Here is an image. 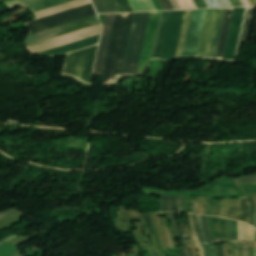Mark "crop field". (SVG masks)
<instances>
[{
    "instance_id": "obj_41",
    "label": "crop field",
    "mask_w": 256,
    "mask_h": 256,
    "mask_svg": "<svg viewBox=\"0 0 256 256\" xmlns=\"http://www.w3.org/2000/svg\"><path fill=\"white\" fill-rule=\"evenodd\" d=\"M168 199H169V197L163 196V198H162V211H169Z\"/></svg>"
},
{
    "instance_id": "obj_44",
    "label": "crop field",
    "mask_w": 256,
    "mask_h": 256,
    "mask_svg": "<svg viewBox=\"0 0 256 256\" xmlns=\"http://www.w3.org/2000/svg\"><path fill=\"white\" fill-rule=\"evenodd\" d=\"M192 217H193L195 229H196V231L198 232V235H199L200 243H201V245H204L203 242H202V237H201V233H200V230H199L197 221H196V217H195V215H193V214H192Z\"/></svg>"
},
{
    "instance_id": "obj_49",
    "label": "crop field",
    "mask_w": 256,
    "mask_h": 256,
    "mask_svg": "<svg viewBox=\"0 0 256 256\" xmlns=\"http://www.w3.org/2000/svg\"><path fill=\"white\" fill-rule=\"evenodd\" d=\"M232 7H239V6H243L241 0H229Z\"/></svg>"
},
{
    "instance_id": "obj_1",
    "label": "crop field",
    "mask_w": 256,
    "mask_h": 256,
    "mask_svg": "<svg viewBox=\"0 0 256 256\" xmlns=\"http://www.w3.org/2000/svg\"><path fill=\"white\" fill-rule=\"evenodd\" d=\"M134 13L117 14L103 85L120 79Z\"/></svg>"
},
{
    "instance_id": "obj_39",
    "label": "crop field",
    "mask_w": 256,
    "mask_h": 256,
    "mask_svg": "<svg viewBox=\"0 0 256 256\" xmlns=\"http://www.w3.org/2000/svg\"><path fill=\"white\" fill-rule=\"evenodd\" d=\"M29 1H32V0H13V1L6 2V4L13 7V6H16V5L25 3V2H29Z\"/></svg>"
},
{
    "instance_id": "obj_27",
    "label": "crop field",
    "mask_w": 256,
    "mask_h": 256,
    "mask_svg": "<svg viewBox=\"0 0 256 256\" xmlns=\"http://www.w3.org/2000/svg\"><path fill=\"white\" fill-rule=\"evenodd\" d=\"M248 199V224L252 225L254 227V221H255V201L254 197H247Z\"/></svg>"
},
{
    "instance_id": "obj_35",
    "label": "crop field",
    "mask_w": 256,
    "mask_h": 256,
    "mask_svg": "<svg viewBox=\"0 0 256 256\" xmlns=\"http://www.w3.org/2000/svg\"><path fill=\"white\" fill-rule=\"evenodd\" d=\"M180 224H181V229H182V231H183V235H184V237H185V239H186V242H187V247L184 248V249H185V252H186V255H187V256H191V254H190L189 242H188V237H187V233H186V229H185V226H184L183 221H181Z\"/></svg>"
},
{
    "instance_id": "obj_38",
    "label": "crop field",
    "mask_w": 256,
    "mask_h": 256,
    "mask_svg": "<svg viewBox=\"0 0 256 256\" xmlns=\"http://www.w3.org/2000/svg\"><path fill=\"white\" fill-rule=\"evenodd\" d=\"M197 218H198V222H199V226H200V230H201V233H202L204 244L208 245L207 239H206V236H205V233H204V229H203V226H202L201 216H197Z\"/></svg>"
},
{
    "instance_id": "obj_60",
    "label": "crop field",
    "mask_w": 256,
    "mask_h": 256,
    "mask_svg": "<svg viewBox=\"0 0 256 256\" xmlns=\"http://www.w3.org/2000/svg\"><path fill=\"white\" fill-rule=\"evenodd\" d=\"M205 256H210L209 248H204Z\"/></svg>"
},
{
    "instance_id": "obj_40",
    "label": "crop field",
    "mask_w": 256,
    "mask_h": 256,
    "mask_svg": "<svg viewBox=\"0 0 256 256\" xmlns=\"http://www.w3.org/2000/svg\"><path fill=\"white\" fill-rule=\"evenodd\" d=\"M202 220H203L206 236H207V239H208V243L212 244L211 239H210V235H209V231H208V227H207L206 217L202 216Z\"/></svg>"
},
{
    "instance_id": "obj_16",
    "label": "crop field",
    "mask_w": 256,
    "mask_h": 256,
    "mask_svg": "<svg viewBox=\"0 0 256 256\" xmlns=\"http://www.w3.org/2000/svg\"><path fill=\"white\" fill-rule=\"evenodd\" d=\"M90 2H91L90 0H77V1L70 2V3L64 4V5H60V6H57L54 8H50V9H47L44 11L37 12L36 14L39 19V18L49 16V15H52V14H55V13H58V12H61L64 10H68V9H71V8H74V7H77L80 5H84V4H87Z\"/></svg>"
},
{
    "instance_id": "obj_45",
    "label": "crop field",
    "mask_w": 256,
    "mask_h": 256,
    "mask_svg": "<svg viewBox=\"0 0 256 256\" xmlns=\"http://www.w3.org/2000/svg\"><path fill=\"white\" fill-rule=\"evenodd\" d=\"M227 229H228L229 240H234L232 227H231V220H227Z\"/></svg>"
},
{
    "instance_id": "obj_37",
    "label": "crop field",
    "mask_w": 256,
    "mask_h": 256,
    "mask_svg": "<svg viewBox=\"0 0 256 256\" xmlns=\"http://www.w3.org/2000/svg\"><path fill=\"white\" fill-rule=\"evenodd\" d=\"M172 214H173L174 220H175V222L177 224V227H178V231H179V235H180V240H181V245H182V247H184L185 246V242H184V239H183V236H182V232H181L179 223H178L177 218H176V214L175 213H172Z\"/></svg>"
},
{
    "instance_id": "obj_23",
    "label": "crop field",
    "mask_w": 256,
    "mask_h": 256,
    "mask_svg": "<svg viewBox=\"0 0 256 256\" xmlns=\"http://www.w3.org/2000/svg\"><path fill=\"white\" fill-rule=\"evenodd\" d=\"M254 9L255 7L247 8L240 42L248 41L252 20H253Z\"/></svg>"
},
{
    "instance_id": "obj_3",
    "label": "crop field",
    "mask_w": 256,
    "mask_h": 256,
    "mask_svg": "<svg viewBox=\"0 0 256 256\" xmlns=\"http://www.w3.org/2000/svg\"><path fill=\"white\" fill-rule=\"evenodd\" d=\"M92 3L80 6L65 12H61L49 17H45L30 23L28 26L32 29V33L59 26L68 22L82 19L95 15Z\"/></svg>"
},
{
    "instance_id": "obj_63",
    "label": "crop field",
    "mask_w": 256,
    "mask_h": 256,
    "mask_svg": "<svg viewBox=\"0 0 256 256\" xmlns=\"http://www.w3.org/2000/svg\"><path fill=\"white\" fill-rule=\"evenodd\" d=\"M18 255H20V254L18 252H16V253L12 254L11 256H18Z\"/></svg>"
},
{
    "instance_id": "obj_6",
    "label": "crop field",
    "mask_w": 256,
    "mask_h": 256,
    "mask_svg": "<svg viewBox=\"0 0 256 256\" xmlns=\"http://www.w3.org/2000/svg\"><path fill=\"white\" fill-rule=\"evenodd\" d=\"M97 16L88 17L82 20H78L72 23H68L59 27H55L49 30H45L39 33L30 35L27 40L28 45L37 43L43 40H47L56 36H60L69 32H73L79 29H83L92 25L99 24Z\"/></svg>"
},
{
    "instance_id": "obj_53",
    "label": "crop field",
    "mask_w": 256,
    "mask_h": 256,
    "mask_svg": "<svg viewBox=\"0 0 256 256\" xmlns=\"http://www.w3.org/2000/svg\"><path fill=\"white\" fill-rule=\"evenodd\" d=\"M192 212L193 213L197 212V201H192Z\"/></svg>"
},
{
    "instance_id": "obj_62",
    "label": "crop field",
    "mask_w": 256,
    "mask_h": 256,
    "mask_svg": "<svg viewBox=\"0 0 256 256\" xmlns=\"http://www.w3.org/2000/svg\"><path fill=\"white\" fill-rule=\"evenodd\" d=\"M249 256H254V249L253 250H249Z\"/></svg>"
},
{
    "instance_id": "obj_22",
    "label": "crop field",
    "mask_w": 256,
    "mask_h": 256,
    "mask_svg": "<svg viewBox=\"0 0 256 256\" xmlns=\"http://www.w3.org/2000/svg\"><path fill=\"white\" fill-rule=\"evenodd\" d=\"M191 12H192V10H189V11H186V13H185V17H184V21H183V26H182L181 35H180V39H179L178 48H177L175 58L181 57V55H182V51H183V47H184V42H185V38H186V33H187L188 25H189Z\"/></svg>"
},
{
    "instance_id": "obj_57",
    "label": "crop field",
    "mask_w": 256,
    "mask_h": 256,
    "mask_svg": "<svg viewBox=\"0 0 256 256\" xmlns=\"http://www.w3.org/2000/svg\"><path fill=\"white\" fill-rule=\"evenodd\" d=\"M221 1L223 3L224 7H231V5H230L228 0H221Z\"/></svg>"
},
{
    "instance_id": "obj_24",
    "label": "crop field",
    "mask_w": 256,
    "mask_h": 256,
    "mask_svg": "<svg viewBox=\"0 0 256 256\" xmlns=\"http://www.w3.org/2000/svg\"><path fill=\"white\" fill-rule=\"evenodd\" d=\"M134 12L155 11L152 0H128Z\"/></svg>"
},
{
    "instance_id": "obj_14",
    "label": "crop field",
    "mask_w": 256,
    "mask_h": 256,
    "mask_svg": "<svg viewBox=\"0 0 256 256\" xmlns=\"http://www.w3.org/2000/svg\"><path fill=\"white\" fill-rule=\"evenodd\" d=\"M172 11L163 12L153 58L161 59Z\"/></svg>"
},
{
    "instance_id": "obj_19",
    "label": "crop field",
    "mask_w": 256,
    "mask_h": 256,
    "mask_svg": "<svg viewBox=\"0 0 256 256\" xmlns=\"http://www.w3.org/2000/svg\"><path fill=\"white\" fill-rule=\"evenodd\" d=\"M233 8L227 9L216 58L222 59Z\"/></svg>"
},
{
    "instance_id": "obj_10",
    "label": "crop field",
    "mask_w": 256,
    "mask_h": 256,
    "mask_svg": "<svg viewBox=\"0 0 256 256\" xmlns=\"http://www.w3.org/2000/svg\"><path fill=\"white\" fill-rule=\"evenodd\" d=\"M245 8H234L223 59L233 60L236 53Z\"/></svg>"
},
{
    "instance_id": "obj_33",
    "label": "crop field",
    "mask_w": 256,
    "mask_h": 256,
    "mask_svg": "<svg viewBox=\"0 0 256 256\" xmlns=\"http://www.w3.org/2000/svg\"><path fill=\"white\" fill-rule=\"evenodd\" d=\"M236 183L256 182V175H248L234 179Z\"/></svg>"
},
{
    "instance_id": "obj_54",
    "label": "crop field",
    "mask_w": 256,
    "mask_h": 256,
    "mask_svg": "<svg viewBox=\"0 0 256 256\" xmlns=\"http://www.w3.org/2000/svg\"><path fill=\"white\" fill-rule=\"evenodd\" d=\"M168 214H169V217H170V219H171V222H172V224H173V226H174V228H175V231H176V235H177V237H179V236H178V231H177V228H176V226H175V224H174V220H173V217H172L171 213H168Z\"/></svg>"
},
{
    "instance_id": "obj_30",
    "label": "crop field",
    "mask_w": 256,
    "mask_h": 256,
    "mask_svg": "<svg viewBox=\"0 0 256 256\" xmlns=\"http://www.w3.org/2000/svg\"><path fill=\"white\" fill-rule=\"evenodd\" d=\"M17 214H21V213L17 212L14 209L8 210L5 212H1L0 213V221L11 219V218L15 217V215H17Z\"/></svg>"
},
{
    "instance_id": "obj_15",
    "label": "crop field",
    "mask_w": 256,
    "mask_h": 256,
    "mask_svg": "<svg viewBox=\"0 0 256 256\" xmlns=\"http://www.w3.org/2000/svg\"><path fill=\"white\" fill-rule=\"evenodd\" d=\"M98 37H99V35L95 36V37L85 39V40H82V41H79V42H75V43H72V44H69V45H66V46H63V47H59V48H56V49H53V50H50V51H47V52H43V53H40V54L57 56V55H61V54L68 53V52H71V51H75V50H78V49H82V48H85V47H89V46H92V45H96L97 42H98Z\"/></svg>"
},
{
    "instance_id": "obj_52",
    "label": "crop field",
    "mask_w": 256,
    "mask_h": 256,
    "mask_svg": "<svg viewBox=\"0 0 256 256\" xmlns=\"http://www.w3.org/2000/svg\"><path fill=\"white\" fill-rule=\"evenodd\" d=\"M236 256H242L241 246L236 245Z\"/></svg>"
},
{
    "instance_id": "obj_13",
    "label": "crop field",
    "mask_w": 256,
    "mask_h": 256,
    "mask_svg": "<svg viewBox=\"0 0 256 256\" xmlns=\"http://www.w3.org/2000/svg\"><path fill=\"white\" fill-rule=\"evenodd\" d=\"M218 9L207 10L197 56L208 57Z\"/></svg>"
},
{
    "instance_id": "obj_46",
    "label": "crop field",
    "mask_w": 256,
    "mask_h": 256,
    "mask_svg": "<svg viewBox=\"0 0 256 256\" xmlns=\"http://www.w3.org/2000/svg\"><path fill=\"white\" fill-rule=\"evenodd\" d=\"M176 198L177 197H170V211H175L176 209Z\"/></svg>"
},
{
    "instance_id": "obj_28",
    "label": "crop field",
    "mask_w": 256,
    "mask_h": 256,
    "mask_svg": "<svg viewBox=\"0 0 256 256\" xmlns=\"http://www.w3.org/2000/svg\"><path fill=\"white\" fill-rule=\"evenodd\" d=\"M118 13L131 12L126 0H111Z\"/></svg>"
},
{
    "instance_id": "obj_20",
    "label": "crop field",
    "mask_w": 256,
    "mask_h": 256,
    "mask_svg": "<svg viewBox=\"0 0 256 256\" xmlns=\"http://www.w3.org/2000/svg\"><path fill=\"white\" fill-rule=\"evenodd\" d=\"M213 221V230L216 241H225L228 240L227 229H226V220L223 218H214Z\"/></svg>"
},
{
    "instance_id": "obj_61",
    "label": "crop field",
    "mask_w": 256,
    "mask_h": 256,
    "mask_svg": "<svg viewBox=\"0 0 256 256\" xmlns=\"http://www.w3.org/2000/svg\"><path fill=\"white\" fill-rule=\"evenodd\" d=\"M242 2H243V4H244V6H250L248 0H242Z\"/></svg>"
},
{
    "instance_id": "obj_4",
    "label": "crop field",
    "mask_w": 256,
    "mask_h": 256,
    "mask_svg": "<svg viewBox=\"0 0 256 256\" xmlns=\"http://www.w3.org/2000/svg\"><path fill=\"white\" fill-rule=\"evenodd\" d=\"M146 193L151 194H159L166 196H179V195H194V196H207V197H243L245 194L241 191V189L234 183L233 179L230 178H222L219 179L203 188H200L197 191L200 192H241L237 194H216V195H230V196H212L206 195L207 193H199V192H162L161 190H155L151 188H143Z\"/></svg>"
},
{
    "instance_id": "obj_50",
    "label": "crop field",
    "mask_w": 256,
    "mask_h": 256,
    "mask_svg": "<svg viewBox=\"0 0 256 256\" xmlns=\"http://www.w3.org/2000/svg\"><path fill=\"white\" fill-rule=\"evenodd\" d=\"M233 230H234V238L238 239L237 237V222L233 220Z\"/></svg>"
},
{
    "instance_id": "obj_67",
    "label": "crop field",
    "mask_w": 256,
    "mask_h": 256,
    "mask_svg": "<svg viewBox=\"0 0 256 256\" xmlns=\"http://www.w3.org/2000/svg\"><path fill=\"white\" fill-rule=\"evenodd\" d=\"M255 228H256V221H255Z\"/></svg>"
},
{
    "instance_id": "obj_12",
    "label": "crop field",
    "mask_w": 256,
    "mask_h": 256,
    "mask_svg": "<svg viewBox=\"0 0 256 256\" xmlns=\"http://www.w3.org/2000/svg\"><path fill=\"white\" fill-rule=\"evenodd\" d=\"M101 24L99 25H96V26H93V27H97V26H100ZM93 27H90V28H93ZM90 28H86V29H83V30H87V29H90ZM100 27H97V28H93V29H90V30H87V31H84V32H80V31H83V30H80V31H77V32H80V33H77V32H74V33H77V34H74V33H71V34H74V35H70V36H67V35H64V36H67V37H64V36H61V37H64V38H61V37H58V38H61V39H57V40H54V41H51V42H48V43H44V44H41V45H38V46H34V47H31V51L33 53H38V52H41V51H45V50H48V49H51V48H55V47H58V46H61V45H65V44H68V43H71V42H75V41H78V40H81V39H85V38H88V37H91V36H95V35H98L99 32H100ZM47 42V41H46Z\"/></svg>"
},
{
    "instance_id": "obj_5",
    "label": "crop field",
    "mask_w": 256,
    "mask_h": 256,
    "mask_svg": "<svg viewBox=\"0 0 256 256\" xmlns=\"http://www.w3.org/2000/svg\"><path fill=\"white\" fill-rule=\"evenodd\" d=\"M96 48L97 46L69 54L64 73L73 74L89 82Z\"/></svg>"
},
{
    "instance_id": "obj_7",
    "label": "crop field",
    "mask_w": 256,
    "mask_h": 256,
    "mask_svg": "<svg viewBox=\"0 0 256 256\" xmlns=\"http://www.w3.org/2000/svg\"><path fill=\"white\" fill-rule=\"evenodd\" d=\"M206 10H193L183 57L196 56Z\"/></svg>"
},
{
    "instance_id": "obj_64",
    "label": "crop field",
    "mask_w": 256,
    "mask_h": 256,
    "mask_svg": "<svg viewBox=\"0 0 256 256\" xmlns=\"http://www.w3.org/2000/svg\"><path fill=\"white\" fill-rule=\"evenodd\" d=\"M182 252H183V255H181V256H185V253H184V250L182 249Z\"/></svg>"
},
{
    "instance_id": "obj_58",
    "label": "crop field",
    "mask_w": 256,
    "mask_h": 256,
    "mask_svg": "<svg viewBox=\"0 0 256 256\" xmlns=\"http://www.w3.org/2000/svg\"><path fill=\"white\" fill-rule=\"evenodd\" d=\"M231 256H235V245L230 246Z\"/></svg>"
},
{
    "instance_id": "obj_21",
    "label": "crop field",
    "mask_w": 256,
    "mask_h": 256,
    "mask_svg": "<svg viewBox=\"0 0 256 256\" xmlns=\"http://www.w3.org/2000/svg\"><path fill=\"white\" fill-rule=\"evenodd\" d=\"M226 9H220L209 58H215Z\"/></svg>"
},
{
    "instance_id": "obj_18",
    "label": "crop field",
    "mask_w": 256,
    "mask_h": 256,
    "mask_svg": "<svg viewBox=\"0 0 256 256\" xmlns=\"http://www.w3.org/2000/svg\"><path fill=\"white\" fill-rule=\"evenodd\" d=\"M73 0H35L29 3L22 4L35 12L44 10L53 6H57L66 2H70Z\"/></svg>"
},
{
    "instance_id": "obj_66",
    "label": "crop field",
    "mask_w": 256,
    "mask_h": 256,
    "mask_svg": "<svg viewBox=\"0 0 256 256\" xmlns=\"http://www.w3.org/2000/svg\"><path fill=\"white\" fill-rule=\"evenodd\" d=\"M255 256H256V248H255Z\"/></svg>"
},
{
    "instance_id": "obj_9",
    "label": "crop field",
    "mask_w": 256,
    "mask_h": 256,
    "mask_svg": "<svg viewBox=\"0 0 256 256\" xmlns=\"http://www.w3.org/2000/svg\"><path fill=\"white\" fill-rule=\"evenodd\" d=\"M185 11H173L162 59L169 60L175 56L179 34Z\"/></svg>"
},
{
    "instance_id": "obj_29",
    "label": "crop field",
    "mask_w": 256,
    "mask_h": 256,
    "mask_svg": "<svg viewBox=\"0 0 256 256\" xmlns=\"http://www.w3.org/2000/svg\"><path fill=\"white\" fill-rule=\"evenodd\" d=\"M188 219H189V223H190V227H191L192 234H193V236H194V239H195V242H196V245H197V249H198V252H199V256H204L202 247L200 246V243H199L198 235H197V233L195 232L194 226H193V224H192V218H191V215H190V214H188Z\"/></svg>"
},
{
    "instance_id": "obj_8",
    "label": "crop field",
    "mask_w": 256,
    "mask_h": 256,
    "mask_svg": "<svg viewBox=\"0 0 256 256\" xmlns=\"http://www.w3.org/2000/svg\"><path fill=\"white\" fill-rule=\"evenodd\" d=\"M161 12H151L137 74H143L152 54Z\"/></svg>"
},
{
    "instance_id": "obj_51",
    "label": "crop field",
    "mask_w": 256,
    "mask_h": 256,
    "mask_svg": "<svg viewBox=\"0 0 256 256\" xmlns=\"http://www.w3.org/2000/svg\"><path fill=\"white\" fill-rule=\"evenodd\" d=\"M15 237L16 236L11 235V236H8V237L4 238L3 240L0 241V245L5 243V242H7V241H9V240H11V239H13V238H15Z\"/></svg>"
},
{
    "instance_id": "obj_11",
    "label": "crop field",
    "mask_w": 256,
    "mask_h": 256,
    "mask_svg": "<svg viewBox=\"0 0 256 256\" xmlns=\"http://www.w3.org/2000/svg\"><path fill=\"white\" fill-rule=\"evenodd\" d=\"M116 14L107 15L94 74L103 76Z\"/></svg>"
},
{
    "instance_id": "obj_65",
    "label": "crop field",
    "mask_w": 256,
    "mask_h": 256,
    "mask_svg": "<svg viewBox=\"0 0 256 256\" xmlns=\"http://www.w3.org/2000/svg\"><path fill=\"white\" fill-rule=\"evenodd\" d=\"M164 253H165V255H163V256H167L165 251H164Z\"/></svg>"
},
{
    "instance_id": "obj_36",
    "label": "crop field",
    "mask_w": 256,
    "mask_h": 256,
    "mask_svg": "<svg viewBox=\"0 0 256 256\" xmlns=\"http://www.w3.org/2000/svg\"><path fill=\"white\" fill-rule=\"evenodd\" d=\"M207 8H216V7H222L219 0H204Z\"/></svg>"
},
{
    "instance_id": "obj_26",
    "label": "crop field",
    "mask_w": 256,
    "mask_h": 256,
    "mask_svg": "<svg viewBox=\"0 0 256 256\" xmlns=\"http://www.w3.org/2000/svg\"><path fill=\"white\" fill-rule=\"evenodd\" d=\"M93 2L99 14L116 13L110 0H93Z\"/></svg>"
},
{
    "instance_id": "obj_59",
    "label": "crop field",
    "mask_w": 256,
    "mask_h": 256,
    "mask_svg": "<svg viewBox=\"0 0 256 256\" xmlns=\"http://www.w3.org/2000/svg\"><path fill=\"white\" fill-rule=\"evenodd\" d=\"M243 256H248L247 247H243Z\"/></svg>"
},
{
    "instance_id": "obj_31",
    "label": "crop field",
    "mask_w": 256,
    "mask_h": 256,
    "mask_svg": "<svg viewBox=\"0 0 256 256\" xmlns=\"http://www.w3.org/2000/svg\"><path fill=\"white\" fill-rule=\"evenodd\" d=\"M181 9H194L196 8L193 0H177Z\"/></svg>"
},
{
    "instance_id": "obj_34",
    "label": "crop field",
    "mask_w": 256,
    "mask_h": 256,
    "mask_svg": "<svg viewBox=\"0 0 256 256\" xmlns=\"http://www.w3.org/2000/svg\"><path fill=\"white\" fill-rule=\"evenodd\" d=\"M142 216H143V219H144V222H145V226L147 228L148 235L154 234L155 232L152 228L149 216L148 215H142Z\"/></svg>"
},
{
    "instance_id": "obj_25",
    "label": "crop field",
    "mask_w": 256,
    "mask_h": 256,
    "mask_svg": "<svg viewBox=\"0 0 256 256\" xmlns=\"http://www.w3.org/2000/svg\"><path fill=\"white\" fill-rule=\"evenodd\" d=\"M239 239L255 241V229L238 222Z\"/></svg>"
},
{
    "instance_id": "obj_43",
    "label": "crop field",
    "mask_w": 256,
    "mask_h": 256,
    "mask_svg": "<svg viewBox=\"0 0 256 256\" xmlns=\"http://www.w3.org/2000/svg\"><path fill=\"white\" fill-rule=\"evenodd\" d=\"M164 10H173L169 0H160Z\"/></svg>"
},
{
    "instance_id": "obj_47",
    "label": "crop field",
    "mask_w": 256,
    "mask_h": 256,
    "mask_svg": "<svg viewBox=\"0 0 256 256\" xmlns=\"http://www.w3.org/2000/svg\"><path fill=\"white\" fill-rule=\"evenodd\" d=\"M207 222H208V227H209L211 239H212L213 243L216 244L215 238H214L213 232H212V227H211V217H207Z\"/></svg>"
},
{
    "instance_id": "obj_56",
    "label": "crop field",
    "mask_w": 256,
    "mask_h": 256,
    "mask_svg": "<svg viewBox=\"0 0 256 256\" xmlns=\"http://www.w3.org/2000/svg\"><path fill=\"white\" fill-rule=\"evenodd\" d=\"M210 250H211V255L212 256H217V254H216V246L215 247H211Z\"/></svg>"
},
{
    "instance_id": "obj_48",
    "label": "crop field",
    "mask_w": 256,
    "mask_h": 256,
    "mask_svg": "<svg viewBox=\"0 0 256 256\" xmlns=\"http://www.w3.org/2000/svg\"><path fill=\"white\" fill-rule=\"evenodd\" d=\"M184 196L178 197V211H183Z\"/></svg>"
},
{
    "instance_id": "obj_2",
    "label": "crop field",
    "mask_w": 256,
    "mask_h": 256,
    "mask_svg": "<svg viewBox=\"0 0 256 256\" xmlns=\"http://www.w3.org/2000/svg\"><path fill=\"white\" fill-rule=\"evenodd\" d=\"M150 13H135L122 76L136 74Z\"/></svg>"
},
{
    "instance_id": "obj_42",
    "label": "crop field",
    "mask_w": 256,
    "mask_h": 256,
    "mask_svg": "<svg viewBox=\"0 0 256 256\" xmlns=\"http://www.w3.org/2000/svg\"><path fill=\"white\" fill-rule=\"evenodd\" d=\"M206 202H207V209H206L205 215H211V213H212V200H211V198H207Z\"/></svg>"
},
{
    "instance_id": "obj_17",
    "label": "crop field",
    "mask_w": 256,
    "mask_h": 256,
    "mask_svg": "<svg viewBox=\"0 0 256 256\" xmlns=\"http://www.w3.org/2000/svg\"><path fill=\"white\" fill-rule=\"evenodd\" d=\"M227 218L240 220L247 223V199H240V208L229 207Z\"/></svg>"
},
{
    "instance_id": "obj_32",
    "label": "crop field",
    "mask_w": 256,
    "mask_h": 256,
    "mask_svg": "<svg viewBox=\"0 0 256 256\" xmlns=\"http://www.w3.org/2000/svg\"><path fill=\"white\" fill-rule=\"evenodd\" d=\"M244 193H255L256 192V184H237Z\"/></svg>"
},
{
    "instance_id": "obj_55",
    "label": "crop field",
    "mask_w": 256,
    "mask_h": 256,
    "mask_svg": "<svg viewBox=\"0 0 256 256\" xmlns=\"http://www.w3.org/2000/svg\"><path fill=\"white\" fill-rule=\"evenodd\" d=\"M217 254H218V256H223V251H222V247L221 246L217 247Z\"/></svg>"
}]
</instances>
